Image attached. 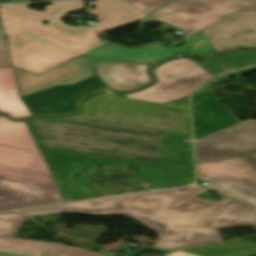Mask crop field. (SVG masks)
Returning <instances> with one entry per match:
<instances>
[{"instance_id":"obj_14","label":"crop field","mask_w":256,"mask_h":256,"mask_svg":"<svg viewBox=\"0 0 256 256\" xmlns=\"http://www.w3.org/2000/svg\"><path fill=\"white\" fill-rule=\"evenodd\" d=\"M98 66V76L113 90H135L152 82L149 65L101 62Z\"/></svg>"},{"instance_id":"obj_9","label":"crop field","mask_w":256,"mask_h":256,"mask_svg":"<svg viewBox=\"0 0 256 256\" xmlns=\"http://www.w3.org/2000/svg\"><path fill=\"white\" fill-rule=\"evenodd\" d=\"M198 179L207 188L256 206V171L240 157L198 164Z\"/></svg>"},{"instance_id":"obj_7","label":"crop field","mask_w":256,"mask_h":256,"mask_svg":"<svg viewBox=\"0 0 256 256\" xmlns=\"http://www.w3.org/2000/svg\"><path fill=\"white\" fill-rule=\"evenodd\" d=\"M157 83L126 98L165 104L187 97L199 85L212 78L193 61L182 58L164 62L154 68Z\"/></svg>"},{"instance_id":"obj_16","label":"crop field","mask_w":256,"mask_h":256,"mask_svg":"<svg viewBox=\"0 0 256 256\" xmlns=\"http://www.w3.org/2000/svg\"><path fill=\"white\" fill-rule=\"evenodd\" d=\"M144 13H149L172 0H124Z\"/></svg>"},{"instance_id":"obj_5","label":"crop field","mask_w":256,"mask_h":256,"mask_svg":"<svg viewBox=\"0 0 256 256\" xmlns=\"http://www.w3.org/2000/svg\"><path fill=\"white\" fill-rule=\"evenodd\" d=\"M181 43L185 45L175 50L167 49L159 44L138 49H128L107 44L76 58L74 61L63 63L38 76L13 69L22 97L55 85H73L95 74L91 68L98 65L101 61L154 63L183 52L206 55L213 49L202 32L187 38Z\"/></svg>"},{"instance_id":"obj_2","label":"crop field","mask_w":256,"mask_h":256,"mask_svg":"<svg viewBox=\"0 0 256 256\" xmlns=\"http://www.w3.org/2000/svg\"><path fill=\"white\" fill-rule=\"evenodd\" d=\"M205 190L186 187L20 212L29 216L58 212L127 216L160 233L154 247L174 251L220 242L219 229L256 224L255 208L228 198L220 202L197 199Z\"/></svg>"},{"instance_id":"obj_19","label":"crop field","mask_w":256,"mask_h":256,"mask_svg":"<svg viewBox=\"0 0 256 256\" xmlns=\"http://www.w3.org/2000/svg\"><path fill=\"white\" fill-rule=\"evenodd\" d=\"M163 256H197V255L179 251V252H175V253H171V254H167V255H163Z\"/></svg>"},{"instance_id":"obj_20","label":"crop field","mask_w":256,"mask_h":256,"mask_svg":"<svg viewBox=\"0 0 256 256\" xmlns=\"http://www.w3.org/2000/svg\"><path fill=\"white\" fill-rule=\"evenodd\" d=\"M13 0H0V3H7V2H11Z\"/></svg>"},{"instance_id":"obj_10","label":"crop field","mask_w":256,"mask_h":256,"mask_svg":"<svg viewBox=\"0 0 256 256\" xmlns=\"http://www.w3.org/2000/svg\"><path fill=\"white\" fill-rule=\"evenodd\" d=\"M26 219L16 211L0 213V256H110L52 242L12 238Z\"/></svg>"},{"instance_id":"obj_4","label":"crop field","mask_w":256,"mask_h":256,"mask_svg":"<svg viewBox=\"0 0 256 256\" xmlns=\"http://www.w3.org/2000/svg\"><path fill=\"white\" fill-rule=\"evenodd\" d=\"M64 202L24 121L0 116V211Z\"/></svg>"},{"instance_id":"obj_21","label":"crop field","mask_w":256,"mask_h":256,"mask_svg":"<svg viewBox=\"0 0 256 256\" xmlns=\"http://www.w3.org/2000/svg\"><path fill=\"white\" fill-rule=\"evenodd\" d=\"M244 1H250V2L256 3V0H244Z\"/></svg>"},{"instance_id":"obj_23","label":"crop field","mask_w":256,"mask_h":256,"mask_svg":"<svg viewBox=\"0 0 256 256\" xmlns=\"http://www.w3.org/2000/svg\"><path fill=\"white\" fill-rule=\"evenodd\" d=\"M254 230H256V226L254 227Z\"/></svg>"},{"instance_id":"obj_12","label":"crop field","mask_w":256,"mask_h":256,"mask_svg":"<svg viewBox=\"0 0 256 256\" xmlns=\"http://www.w3.org/2000/svg\"><path fill=\"white\" fill-rule=\"evenodd\" d=\"M229 16L202 30L214 49L256 47V4L251 3Z\"/></svg>"},{"instance_id":"obj_17","label":"crop field","mask_w":256,"mask_h":256,"mask_svg":"<svg viewBox=\"0 0 256 256\" xmlns=\"http://www.w3.org/2000/svg\"><path fill=\"white\" fill-rule=\"evenodd\" d=\"M0 66H10L9 55L4 41V34L0 24Z\"/></svg>"},{"instance_id":"obj_22","label":"crop field","mask_w":256,"mask_h":256,"mask_svg":"<svg viewBox=\"0 0 256 256\" xmlns=\"http://www.w3.org/2000/svg\"><path fill=\"white\" fill-rule=\"evenodd\" d=\"M19 1H29V0H15L13 2H19Z\"/></svg>"},{"instance_id":"obj_13","label":"crop field","mask_w":256,"mask_h":256,"mask_svg":"<svg viewBox=\"0 0 256 256\" xmlns=\"http://www.w3.org/2000/svg\"><path fill=\"white\" fill-rule=\"evenodd\" d=\"M194 137L210 134L239 123L233 114L219 105L209 90L192 96Z\"/></svg>"},{"instance_id":"obj_3","label":"crop field","mask_w":256,"mask_h":256,"mask_svg":"<svg viewBox=\"0 0 256 256\" xmlns=\"http://www.w3.org/2000/svg\"><path fill=\"white\" fill-rule=\"evenodd\" d=\"M85 4L53 3L44 12L27 9V5L1 7L12 65L39 74L102 45L97 36L104 30L147 17L123 0H96V9H86V13L98 17L97 25L70 27L60 20L68 13L83 10ZM41 21L49 23L44 25Z\"/></svg>"},{"instance_id":"obj_15","label":"crop field","mask_w":256,"mask_h":256,"mask_svg":"<svg viewBox=\"0 0 256 256\" xmlns=\"http://www.w3.org/2000/svg\"><path fill=\"white\" fill-rule=\"evenodd\" d=\"M0 111L13 118L31 116L20 98L12 67H0Z\"/></svg>"},{"instance_id":"obj_11","label":"crop field","mask_w":256,"mask_h":256,"mask_svg":"<svg viewBox=\"0 0 256 256\" xmlns=\"http://www.w3.org/2000/svg\"><path fill=\"white\" fill-rule=\"evenodd\" d=\"M197 161L256 152V122H246L195 142Z\"/></svg>"},{"instance_id":"obj_6","label":"crop field","mask_w":256,"mask_h":256,"mask_svg":"<svg viewBox=\"0 0 256 256\" xmlns=\"http://www.w3.org/2000/svg\"><path fill=\"white\" fill-rule=\"evenodd\" d=\"M41 151L67 201L98 197L89 181V178H96V172L84 173L72 179V175L78 172L74 164L137 166L141 168L142 177L152 181L154 189L183 186L192 183L194 179V173L190 171L43 149Z\"/></svg>"},{"instance_id":"obj_1","label":"crop field","mask_w":256,"mask_h":256,"mask_svg":"<svg viewBox=\"0 0 256 256\" xmlns=\"http://www.w3.org/2000/svg\"><path fill=\"white\" fill-rule=\"evenodd\" d=\"M188 102L165 105L104 92L83 102V114L27 119L39 147L194 170L192 146L165 143L188 137Z\"/></svg>"},{"instance_id":"obj_18","label":"crop field","mask_w":256,"mask_h":256,"mask_svg":"<svg viewBox=\"0 0 256 256\" xmlns=\"http://www.w3.org/2000/svg\"><path fill=\"white\" fill-rule=\"evenodd\" d=\"M242 158L246 160L253 168L256 169V155L244 156Z\"/></svg>"},{"instance_id":"obj_8","label":"crop field","mask_w":256,"mask_h":256,"mask_svg":"<svg viewBox=\"0 0 256 256\" xmlns=\"http://www.w3.org/2000/svg\"><path fill=\"white\" fill-rule=\"evenodd\" d=\"M247 4L237 0H177L152 16L185 31L189 37Z\"/></svg>"}]
</instances>
